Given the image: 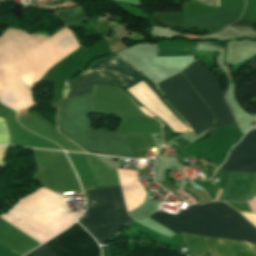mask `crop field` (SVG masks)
Returning a JSON list of instances; mask_svg holds the SVG:
<instances>
[{"instance_id":"1","label":"crop field","mask_w":256,"mask_h":256,"mask_svg":"<svg viewBox=\"0 0 256 256\" xmlns=\"http://www.w3.org/2000/svg\"><path fill=\"white\" fill-rule=\"evenodd\" d=\"M169 230L256 243V228L223 202L192 205L172 216L156 211L148 217Z\"/></svg>"},{"instance_id":"2","label":"crop field","mask_w":256,"mask_h":256,"mask_svg":"<svg viewBox=\"0 0 256 256\" xmlns=\"http://www.w3.org/2000/svg\"><path fill=\"white\" fill-rule=\"evenodd\" d=\"M92 202L100 207L88 208L79 223L102 244L115 235L126 223L132 222L125 210L120 188L87 191Z\"/></svg>"},{"instance_id":"3","label":"crop field","mask_w":256,"mask_h":256,"mask_svg":"<svg viewBox=\"0 0 256 256\" xmlns=\"http://www.w3.org/2000/svg\"><path fill=\"white\" fill-rule=\"evenodd\" d=\"M93 70L96 73H98L100 76H102V77L110 80L111 82L115 83L116 85L120 86L124 91L129 89L130 87L136 85L137 83L141 82L142 80L146 79V77H144L142 74L138 73L127 62L123 61L122 59H120L118 57H113V58H109V59L97 62L94 65ZM95 72L93 74H90V75L81 77L77 80L71 81L72 87L69 91L68 97L80 96V95H85V94L91 93L92 84L116 86L113 83H111L110 81L100 77ZM144 81L164 101V99H163L162 95L159 93V91L147 79ZM125 92L134 99V101L137 103L138 106L148 110L152 114L159 117L154 111H152L147 105H145L140 99H138L139 97L137 98L133 93H131L132 91L130 92L129 90H127ZM167 105L178 115V113L169 104H167ZM159 118L162 119L161 117H159ZM183 122L188 127L187 123L184 120H183Z\"/></svg>"},{"instance_id":"4","label":"crop field","mask_w":256,"mask_h":256,"mask_svg":"<svg viewBox=\"0 0 256 256\" xmlns=\"http://www.w3.org/2000/svg\"><path fill=\"white\" fill-rule=\"evenodd\" d=\"M158 85L167 100L190 122L196 133L211 126L213 121L211 111L181 72Z\"/></svg>"},{"instance_id":"5","label":"crop field","mask_w":256,"mask_h":256,"mask_svg":"<svg viewBox=\"0 0 256 256\" xmlns=\"http://www.w3.org/2000/svg\"><path fill=\"white\" fill-rule=\"evenodd\" d=\"M198 61H195L183 73L207 106L215 114V128L234 122V119L222 98L223 89L220 81Z\"/></svg>"},{"instance_id":"6","label":"crop field","mask_w":256,"mask_h":256,"mask_svg":"<svg viewBox=\"0 0 256 256\" xmlns=\"http://www.w3.org/2000/svg\"><path fill=\"white\" fill-rule=\"evenodd\" d=\"M44 245L56 256H100L96 242L78 223ZM44 245L26 256H55Z\"/></svg>"},{"instance_id":"7","label":"crop field","mask_w":256,"mask_h":256,"mask_svg":"<svg viewBox=\"0 0 256 256\" xmlns=\"http://www.w3.org/2000/svg\"><path fill=\"white\" fill-rule=\"evenodd\" d=\"M244 8H226L183 17L182 28H204L207 32L221 29L241 17Z\"/></svg>"},{"instance_id":"8","label":"crop field","mask_w":256,"mask_h":256,"mask_svg":"<svg viewBox=\"0 0 256 256\" xmlns=\"http://www.w3.org/2000/svg\"><path fill=\"white\" fill-rule=\"evenodd\" d=\"M256 179V173L226 171L214 200L247 201Z\"/></svg>"},{"instance_id":"9","label":"crop field","mask_w":256,"mask_h":256,"mask_svg":"<svg viewBox=\"0 0 256 256\" xmlns=\"http://www.w3.org/2000/svg\"><path fill=\"white\" fill-rule=\"evenodd\" d=\"M218 170L256 171V129L244 136Z\"/></svg>"},{"instance_id":"10","label":"crop field","mask_w":256,"mask_h":256,"mask_svg":"<svg viewBox=\"0 0 256 256\" xmlns=\"http://www.w3.org/2000/svg\"><path fill=\"white\" fill-rule=\"evenodd\" d=\"M203 238L212 256H256V245Z\"/></svg>"},{"instance_id":"11","label":"crop field","mask_w":256,"mask_h":256,"mask_svg":"<svg viewBox=\"0 0 256 256\" xmlns=\"http://www.w3.org/2000/svg\"><path fill=\"white\" fill-rule=\"evenodd\" d=\"M194 48H163L158 52H175V51H194ZM176 55H193V52H176V53H158L157 56H176Z\"/></svg>"},{"instance_id":"12","label":"crop field","mask_w":256,"mask_h":256,"mask_svg":"<svg viewBox=\"0 0 256 256\" xmlns=\"http://www.w3.org/2000/svg\"><path fill=\"white\" fill-rule=\"evenodd\" d=\"M0 144L9 145L8 131L3 119L0 118Z\"/></svg>"},{"instance_id":"13","label":"crop field","mask_w":256,"mask_h":256,"mask_svg":"<svg viewBox=\"0 0 256 256\" xmlns=\"http://www.w3.org/2000/svg\"><path fill=\"white\" fill-rule=\"evenodd\" d=\"M8 148L9 147H2V146H0V165L4 166V167H5L4 159H5V156L7 154ZM1 166H0V174H2L4 169H5L4 167H1Z\"/></svg>"},{"instance_id":"14","label":"crop field","mask_w":256,"mask_h":256,"mask_svg":"<svg viewBox=\"0 0 256 256\" xmlns=\"http://www.w3.org/2000/svg\"><path fill=\"white\" fill-rule=\"evenodd\" d=\"M256 22L248 21V20H238L237 22L231 24V26H254Z\"/></svg>"},{"instance_id":"15","label":"crop field","mask_w":256,"mask_h":256,"mask_svg":"<svg viewBox=\"0 0 256 256\" xmlns=\"http://www.w3.org/2000/svg\"><path fill=\"white\" fill-rule=\"evenodd\" d=\"M206 5L214 6L219 8V0H196Z\"/></svg>"}]
</instances>
